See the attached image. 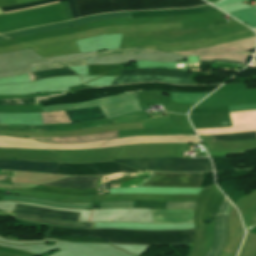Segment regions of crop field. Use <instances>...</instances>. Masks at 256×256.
I'll use <instances>...</instances> for the list:
<instances>
[{"label":"crop field","instance_id":"1","mask_svg":"<svg viewBox=\"0 0 256 256\" xmlns=\"http://www.w3.org/2000/svg\"><path fill=\"white\" fill-rule=\"evenodd\" d=\"M219 85L212 86H184V85H169L158 82L142 83L124 86H110L91 88L86 90L73 91L63 95L48 96L36 98L37 104L42 103V106L55 104H70L82 103L94 99H99L111 95L126 94L140 90L157 89L179 92H210ZM209 93H178L172 92V100L175 102L197 103ZM136 93L111 96L95 101H90L82 104L56 105L43 108L44 112L79 109L99 106L106 118L118 117L124 114L140 111L141 108L136 100Z\"/></svg>","mask_w":256,"mask_h":256},{"label":"crop field","instance_id":"2","mask_svg":"<svg viewBox=\"0 0 256 256\" xmlns=\"http://www.w3.org/2000/svg\"><path fill=\"white\" fill-rule=\"evenodd\" d=\"M50 234L93 236L119 244L191 245L193 230L188 231H129V230H77L53 227Z\"/></svg>","mask_w":256,"mask_h":256},{"label":"crop field","instance_id":"3","mask_svg":"<svg viewBox=\"0 0 256 256\" xmlns=\"http://www.w3.org/2000/svg\"><path fill=\"white\" fill-rule=\"evenodd\" d=\"M80 17L124 10H153L207 4L203 0H74Z\"/></svg>","mask_w":256,"mask_h":256},{"label":"crop field","instance_id":"4","mask_svg":"<svg viewBox=\"0 0 256 256\" xmlns=\"http://www.w3.org/2000/svg\"><path fill=\"white\" fill-rule=\"evenodd\" d=\"M115 162L138 169L160 171H212L209 158H115Z\"/></svg>","mask_w":256,"mask_h":256},{"label":"crop field","instance_id":"5","mask_svg":"<svg viewBox=\"0 0 256 256\" xmlns=\"http://www.w3.org/2000/svg\"><path fill=\"white\" fill-rule=\"evenodd\" d=\"M141 171L127 168L115 162H102L92 164H62L59 174L69 175H106L117 174L120 172Z\"/></svg>","mask_w":256,"mask_h":256},{"label":"crop field","instance_id":"6","mask_svg":"<svg viewBox=\"0 0 256 256\" xmlns=\"http://www.w3.org/2000/svg\"><path fill=\"white\" fill-rule=\"evenodd\" d=\"M203 173H158L141 186L199 187Z\"/></svg>","mask_w":256,"mask_h":256},{"label":"crop field","instance_id":"7","mask_svg":"<svg viewBox=\"0 0 256 256\" xmlns=\"http://www.w3.org/2000/svg\"><path fill=\"white\" fill-rule=\"evenodd\" d=\"M120 18H131L129 12H121V13H108V14H100V15H94V16H88V17H83L79 18L73 21H66L62 23H57V24H51V25H46V26H40V27H34L30 28L27 30H22V31H16V32H11V33H6L2 34L5 36H8L10 38L18 37V36H24V35H30L38 32H43V31H49V30H54L58 28H66V27H72L88 22H93V21H101V20H108V19H120Z\"/></svg>","mask_w":256,"mask_h":256},{"label":"crop field","instance_id":"8","mask_svg":"<svg viewBox=\"0 0 256 256\" xmlns=\"http://www.w3.org/2000/svg\"><path fill=\"white\" fill-rule=\"evenodd\" d=\"M0 168L43 173H56L57 163L0 160Z\"/></svg>","mask_w":256,"mask_h":256},{"label":"crop field","instance_id":"9","mask_svg":"<svg viewBox=\"0 0 256 256\" xmlns=\"http://www.w3.org/2000/svg\"><path fill=\"white\" fill-rule=\"evenodd\" d=\"M13 212L28 214V215L38 216V217L65 219L69 221H78V217H79V213L56 211V210L37 208V207H31V206H25V205H19V204L15 205Z\"/></svg>","mask_w":256,"mask_h":256},{"label":"crop field","instance_id":"10","mask_svg":"<svg viewBox=\"0 0 256 256\" xmlns=\"http://www.w3.org/2000/svg\"><path fill=\"white\" fill-rule=\"evenodd\" d=\"M153 118V117H151ZM118 138V131L111 133H103L88 136H75V137H56V138H33L42 142H53V143H83L89 141H97L104 139H115Z\"/></svg>","mask_w":256,"mask_h":256},{"label":"crop field","instance_id":"11","mask_svg":"<svg viewBox=\"0 0 256 256\" xmlns=\"http://www.w3.org/2000/svg\"><path fill=\"white\" fill-rule=\"evenodd\" d=\"M148 81H161L177 84H194L191 78H172L163 76H122L117 78L114 84L122 83H135V82H148Z\"/></svg>","mask_w":256,"mask_h":256},{"label":"crop field","instance_id":"12","mask_svg":"<svg viewBox=\"0 0 256 256\" xmlns=\"http://www.w3.org/2000/svg\"><path fill=\"white\" fill-rule=\"evenodd\" d=\"M99 177H69L63 180H59L47 186L66 187L74 189H89L95 188Z\"/></svg>","mask_w":256,"mask_h":256},{"label":"crop field","instance_id":"13","mask_svg":"<svg viewBox=\"0 0 256 256\" xmlns=\"http://www.w3.org/2000/svg\"><path fill=\"white\" fill-rule=\"evenodd\" d=\"M66 113L71 123L80 121L100 120L105 118L99 107L81 110H69L66 111Z\"/></svg>","mask_w":256,"mask_h":256},{"label":"crop field","instance_id":"14","mask_svg":"<svg viewBox=\"0 0 256 256\" xmlns=\"http://www.w3.org/2000/svg\"><path fill=\"white\" fill-rule=\"evenodd\" d=\"M3 200H20L38 204L49 205L52 207H70V208H82V209H89L92 203H58L46 200H40L35 198H29L24 196H5Z\"/></svg>","mask_w":256,"mask_h":256},{"label":"crop field","instance_id":"15","mask_svg":"<svg viewBox=\"0 0 256 256\" xmlns=\"http://www.w3.org/2000/svg\"><path fill=\"white\" fill-rule=\"evenodd\" d=\"M123 75H164L172 77H190L189 72L161 70V69H132L124 70Z\"/></svg>","mask_w":256,"mask_h":256},{"label":"crop field","instance_id":"16","mask_svg":"<svg viewBox=\"0 0 256 256\" xmlns=\"http://www.w3.org/2000/svg\"><path fill=\"white\" fill-rule=\"evenodd\" d=\"M104 207H132L133 201H113L99 203ZM196 202H167L166 208H195Z\"/></svg>","mask_w":256,"mask_h":256},{"label":"crop field","instance_id":"17","mask_svg":"<svg viewBox=\"0 0 256 256\" xmlns=\"http://www.w3.org/2000/svg\"><path fill=\"white\" fill-rule=\"evenodd\" d=\"M13 217L20 218L22 220H28L31 222H36V223H49V224L69 226V227H78V228H95V224L71 223V222H64V221L51 220V219H40V218H36V217L17 215V214H14Z\"/></svg>","mask_w":256,"mask_h":256},{"label":"crop field","instance_id":"18","mask_svg":"<svg viewBox=\"0 0 256 256\" xmlns=\"http://www.w3.org/2000/svg\"><path fill=\"white\" fill-rule=\"evenodd\" d=\"M57 0H43V1H38V2H33V3H28V4H23V5H17V6H9V7H2L1 9L4 11V12H7V11H13V10H19V9H24V8H29V7H34V6H39V5H43V4H47V3H51V2H55ZM61 1H66V0H60L58 2H61ZM68 2V5L70 7V10H71V13L73 15V18H78V14L76 12V8H75V4H74V1L71 0V1H67ZM56 3V2H55ZM52 4V3H51ZM48 5V4H47ZM30 9V8H29ZM25 10V9H24ZM20 11V10H19ZM13 12H16V11H13ZM8 13H12V12H7L5 14H8Z\"/></svg>","mask_w":256,"mask_h":256},{"label":"crop field","instance_id":"19","mask_svg":"<svg viewBox=\"0 0 256 256\" xmlns=\"http://www.w3.org/2000/svg\"><path fill=\"white\" fill-rule=\"evenodd\" d=\"M107 124H112V119L96 121V122H84V123H78V124H73V125H50L49 131L76 130V129H81L84 127L102 126V125H107Z\"/></svg>","mask_w":256,"mask_h":256},{"label":"crop field","instance_id":"20","mask_svg":"<svg viewBox=\"0 0 256 256\" xmlns=\"http://www.w3.org/2000/svg\"><path fill=\"white\" fill-rule=\"evenodd\" d=\"M229 14H231L234 17L237 16L239 21L243 23H247L252 28H256V9L255 8L239 10Z\"/></svg>","mask_w":256,"mask_h":256},{"label":"crop field","instance_id":"21","mask_svg":"<svg viewBox=\"0 0 256 256\" xmlns=\"http://www.w3.org/2000/svg\"><path fill=\"white\" fill-rule=\"evenodd\" d=\"M249 139H256V132L210 136L211 143Z\"/></svg>","mask_w":256,"mask_h":256},{"label":"crop field","instance_id":"22","mask_svg":"<svg viewBox=\"0 0 256 256\" xmlns=\"http://www.w3.org/2000/svg\"><path fill=\"white\" fill-rule=\"evenodd\" d=\"M28 75L30 77V80L33 81V80H37L44 77H50V76L77 75V74H75L74 71L69 68H63V69H54V70L37 72V73H31Z\"/></svg>","mask_w":256,"mask_h":256},{"label":"crop field","instance_id":"23","mask_svg":"<svg viewBox=\"0 0 256 256\" xmlns=\"http://www.w3.org/2000/svg\"><path fill=\"white\" fill-rule=\"evenodd\" d=\"M43 124L70 123L65 111L42 113Z\"/></svg>","mask_w":256,"mask_h":256},{"label":"crop field","instance_id":"24","mask_svg":"<svg viewBox=\"0 0 256 256\" xmlns=\"http://www.w3.org/2000/svg\"><path fill=\"white\" fill-rule=\"evenodd\" d=\"M148 52H160V51L150 50V49L133 48V49H122V50L104 51V52L98 53L97 56L98 57H105V56H113V55L148 53Z\"/></svg>","mask_w":256,"mask_h":256},{"label":"crop field","instance_id":"25","mask_svg":"<svg viewBox=\"0 0 256 256\" xmlns=\"http://www.w3.org/2000/svg\"><path fill=\"white\" fill-rule=\"evenodd\" d=\"M48 126H6L0 125V130H12V131H48Z\"/></svg>","mask_w":256,"mask_h":256},{"label":"crop field","instance_id":"26","mask_svg":"<svg viewBox=\"0 0 256 256\" xmlns=\"http://www.w3.org/2000/svg\"><path fill=\"white\" fill-rule=\"evenodd\" d=\"M27 104H35L34 98H31V99L0 100V105H27Z\"/></svg>","mask_w":256,"mask_h":256},{"label":"crop field","instance_id":"27","mask_svg":"<svg viewBox=\"0 0 256 256\" xmlns=\"http://www.w3.org/2000/svg\"><path fill=\"white\" fill-rule=\"evenodd\" d=\"M61 64L69 67V66H79V65H87L85 59L80 60H72V61H66V62H60Z\"/></svg>","mask_w":256,"mask_h":256},{"label":"crop field","instance_id":"28","mask_svg":"<svg viewBox=\"0 0 256 256\" xmlns=\"http://www.w3.org/2000/svg\"><path fill=\"white\" fill-rule=\"evenodd\" d=\"M229 109H230V111L256 109V105L230 106Z\"/></svg>","mask_w":256,"mask_h":256},{"label":"crop field","instance_id":"29","mask_svg":"<svg viewBox=\"0 0 256 256\" xmlns=\"http://www.w3.org/2000/svg\"><path fill=\"white\" fill-rule=\"evenodd\" d=\"M62 67H64V66H62L58 63H54V64H50V65L35 67V72L36 71H41V70L54 69V68H62Z\"/></svg>","mask_w":256,"mask_h":256},{"label":"crop field","instance_id":"30","mask_svg":"<svg viewBox=\"0 0 256 256\" xmlns=\"http://www.w3.org/2000/svg\"><path fill=\"white\" fill-rule=\"evenodd\" d=\"M252 57H253L252 55L248 54V55H247V59L244 60L243 63H239V62H233V63H238V64L247 65V64L251 61ZM214 61L232 62V61H226V60H213V61H211V62H214ZM199 62H208V63H211L210 61H199Z\"/></svg>","mask_w":256,"mask_h":256},{"label":"crop field","instance_id":"31","mask_svg":"<svg viewBox=\"0 0 256 256\" xmlns=\"http://www.w3.org/2000/svg\"><path fill=\"white\" fill-rule=\"evenodd\" d=\"M255 226H256V213H255V215H254V217H253V220H252V222H251V224H250L249 227L253 228V227H255Z\"/></svg>","mask_w":256,"mask_h":256},{"label":"crop field","instance_id":"32","mask_svg":"<svg viewBox=\"0 0 256 256\" xmlns=\"http://www.w3.org/2000/svg\"><path fill=\"white\" fill-rule=\"evenodd\" d=\"M255 48V47H254ZM254 48H252V49H254ZM252 49H249V50H252ZM249 50H247L246 52H248Z\"/></svg>","mask_w":256,"mask_h":256},{"label":"crop field","instance_id":"33","mask_svg":"<svg viewBox=\"0 0 256 256\" xmlns=\"http://www.w3.org/2000/svg\"><path fill=\"white\" fill-rule=\"evenodd\" d=\"M4 39H5V38H1V37H0V40H4Z\"/></svg>","mask_w":256,"mask_h":256}]
</instances>
